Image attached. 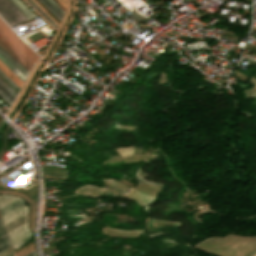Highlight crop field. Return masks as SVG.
I'll use <instances>...</instances> for the list:
<instances>
[{"label": "crop field", "mask_w": 256, "mask_h": 256, "mask_svg": "<svg viewBox=\"0 0 256 256\" xmlns=\"http://www.w3.org/2000/svg\"><path fill=\"white\" fill-rule=\"evenodd\" d=\"M104 230H107V231H115V232H123V233H127L128 236H137L138 234H140V231H141V230H135V231H121V230L107 229V228H104ZM107 231H104V233L127 236L126 234L115 233V232H107Z\"/></svg>", "instance_id": "28ad6ade"}, {"label": "crop field", "mask_w": 256, "mask_h": 256, "mask_svg": "<svg viewBox=\"0 0 256 256\" xmlns=\"http://www.w3.org/2000/svg\"><path fill=\"white\" fill-rule=\"evenodd\" d=\"M105 190H109V189H105ZM116 192V191H115ZM115 192H113V191H106V193H108V194H111V195H116V193ZM121 194H123V193H121Z\"/></svg>", "instance_id": "dafd665d"}, {"label": "crop field", "mask_w": 256, "mask_h": 256, "mask_svg": "<svg viewBox=\"0 0 256 256\" xmlns=\"http://www.w3.org/2000/svg\"><path fill=\"white\" fill-rule=\"evenodd\" d=\"M252 81V80H251ZM254 83V81H252ZM255 84V83H254ZM256 85V84H255Z\"/></svg>", "instance_id": "4177f3b9"}, {"label": "crop field", "mask_w": 256, "mask_h": 256, "mask_svg": "<svg viewBox=\"0 0 256 256\" xmlns=\"http://www.w3.org/2000/svg\"><path fill=\"white\" fill-rule=\"evenodd\" d=\"M66 6V0H60Z\"/></svg>", "instance_id": "00972430"}, {"label": "crop field", "mask_w": 256, "mask_h": 256, "mask_svg": "<svg viewBox=\"0 0 256 256\" xmlns=\"http://www.w3.org/2000/svg\"><path fill=\"white\" fill-rule=\"evenodd\" d=\"M38 7H40L41 8V6L35 1V0H32ZM42 9V8H41ZM43 10V9H42ZM44 11V10H43ZM45 12V11H44ZM46 13V12H45ZM47 14V13H46ZM48 15V14H47ZM49 16V15H48ZM50 17V16H49ZM51 18V17H50ZM52 19V18H51ZM53 20V19H52ZM54 21V20H53ZM55 22V21H54ZM56 23V22H55ZM56 25H58L57 23H56Z\"/></svg>", "instance_id": "92a150f3"}, {"label": "crop field", "mask_w": 256, "mask_h": 256, "mask_svg": "<svg viewBox=\"0 0 256 256\" xmlns=\"http://www.w3.org/2000/svg\"><path fill=\"white\" fill-rule=\"evenodd\" d=\"M41 168H42V170H45V171H51V172H57V173H63L64 174V170H61V169L56 168V167L41 166ZM48 174H50V173H48ZM42 175H47V172L42 171ZM50 175H56V174H50ZM56 176H62V175H56ZM62 177H65V176H62Z\"/></svg>", "instance_id": "22f410ed"}, {"label": "crop field", "mask_w": 256, "mask_h": 256, "mask_svg": "<svg viewBox=\"0 0 256 256\" xmlns=\"http://www.w3.org/2000/svg\"><path fill=\"white\" fill-rule=\"evenodd\" d=\"M26 1L56 29L57 26L54 24V22L40 8H38L31 0Z\"/></svg>", "instance_id": "d1516ede"}, {"label": "crop field", "mask_w": 256, "mask_h": 256, "mask_svg": "<svg viewBox=\"0 0 256 256\" xmlns=\"http://www.w3.org/2000/svg\"><path fill=\"white\" fill-rule=\"evenodd\" d=\"M59 20L63 15V11L52 0H40Z\"/></svg>", "instance_id": "412701ff"}, {"label": "crop field", "mask_w": 256, "mask_h": 256, "mask_svg": "<svg viewBox=\"0 0 256 256\" xmlns=\"http://www.w3.org/2000/svg\"><path fill=\"white\" fill-rule=\"evenodd\" d=\"M28 19L34 17V15L23 5L20 0H10Z\"/></svg>", "instance_id": "e52e79f7"}, {"label": "crop field", "mask_w": 256, "mask_h": 256, "mask_svg": "<svg viewBox=\"0 0 256 256\" xmlns=\"http://www.w3.org/2000/svg\"><path fill=\"white\" fill-rule=\"evenodd\" d=\"M0 61L8 68L10 69L18 78H20L22 81L25 79V75H23L20 71H18L16 68H14L11 64H9L1 55H0ZM17 71V73H15Z\"/></svg>", "instance_id": "3316defc"}, {"label": "crop field", "mask_w": 256, "mask_h": 256, "mask_svg": "<svg viewBox=\"0 0 256 256\" xmlns=\"http://www.w3.org/2000/svg\"><path fill=\"white\" fill-rule=\"evenodd\" d=\"M131 191H132V190H131ZM133 192L135 193V195L137 196V198L141 201V203H142L143 205H145V204L143 203V201L141 200V198L138 196V194L135 192V190H133ZM133 192H132V193H133ZM130 193H131V192H130ZM130 193L126 194V196H127V197H130V198H133L132 196L134 195V193H133V195H132V193H131L132 196L130 195ZM135 195H134V197L136 198ZM135 198H134V199H135ZM137 198H136V199H137ZM136 199H135V200H136ZM138 199H137V200H138ZM137 200H136V201H137ZM139 200H138V202L140 203ZM139 203H138V204H139ZM141 203H140V204H141ZM142 204H141V205H142Z\"/></svg>", "instance_id": "733c2abd"}, {"label": "crop field", "mask_w": 256, "mask_h": 256, "mask_svg": "<svg viewBox=\"0 0 256 256\" xmlns=\"http://www.w3.org/2000/svg\"><path fill=\"white\" fill-rule=\"evenodd\" d=\"M150 186H152V187H154L156 189H159V187H160L159 185H150ZM135 188H137V189H139V190H141V191H143V192H145V193H147L149 195H152L153 197H156L157 192H158L157 190H155V189H153V188H151V187H149L147 185L141 184V183L136 185Z\"/></svg>", "instance_id": "dd49c442"}, {"label": "crop field", "mask_w": 256, "mask_h": 256, "mask_svg": "<svg viewBox=\"0 0 256 256\" xmlns=\"http://www.w3.org/2000/svg\"><path fill=\"white\" fill-rule=\"evenodd\" d=\"M246 95H247V97L255 96V95H256V92H255L253 89L247 90V91H246Z\"/></svg>", "instance_id": "bc2a9ffb"}, {"label": "crop field", "mask_w": 256, "mask_h": 256, "mask_svg": "<svg viewBox=\"0 0 256 256\" xmlns=\"http://www.w3.org/2000/svg\"><path fill=\"white\" fill-rule=\"evenodd\" d=\"M0 83L2 84V85H4L10 92H12L14 95H16L17 93L13 90V89H11L1 78H0Z\"/></svg>", "instance_id": "4a817a6b"}, {"label": "crop field", "mask_w": 256, "mask_h": 256, "mask_svg": "<svg viewBox=\"0 0 256 256\" xmlns=\"http://www.w3.org/2000/svg\"><path fill=\"white\" fill-rule=\"evenodd\" d=\"M254 254H256V251H254L253 253H251L249 256H253Z\"/></svg>", "instance_id": "a9b5d70f"}, {"label": "crop field", "mask_w": 256, "mask_h": 256, "mask_svg": "<svg viewBox=\"0 0 256 256\" xmlns=\"http://www.w3.org/2000/svg\"><path fill=\"white\" fill-rule=\"evenodd\" d=\"M159 82H160V83H168L165 73L162 74V78L159 80Z\"/></svg>", "instance_id": "214f88e0"}, {"label": "crop field", "mask_w": 256, "mask_h": 256, "mask_svg": "<svg viewBox=\"0 0 256 256\" xmlns=\"http://www.w3.org/2000/svg\"><path fill=\"white\" fill-rule=\"evenodd\" d=\"M0 46L29 72L33 65L27 59H25L12 45H10L1 35Z\"/></svg>", "instance_id": "34b2d1b8"}, {"label": "crop field", "mask_w": 256, "mask_h": 256, "mask_svg": "<svg viewBox=\"0 0 256 256\" xmlns=\"http://www.w3.org/2000/svg\"><path fill=\"white\" fill-rule=\"evenodd\" d=\"M0 33L12 43L32 64L35 63L38 56L24 43L22 42L0 19Z\"/></svg>", "instance_id": "8a807250"}, {"label": "crop field", "mask_w": 256, "mask_h": 256, "mask_svg": "<svg viewBox=\"0 0 256 256\" xmlns=\"http://www.w3.org/2000/svg\"><path fill=\"white\" fill-rule=\"evenodd\" d=\"M117 150H118V152H119V154H120L121 156H127V155L133 153L131 147H130V148H126V149L120 148V149H117Z\"/></svg>", "instance_id": "cbeb9de0"}, {"label": "crop field", "mask_w": 256, "mask_h": 256, "mask_svg": "<svg viewBox=\"0 0 256 256\" xmlns=\"http://www.w3.org/2000/svg\"><path fill=\"white\" fill-rule=\"evenodd\" d=\"M138 158H150V157H156L155 155H147V154H139L137 155ZM136 155H132V156H127L125 158H121V159H111V160H107L106 162H113V161H120V160H126V159H131V158H135L137 157ZM135 160H141V159H135ZM130 161H134V160H130ZM130 161H126V163L130 162ZM120 163H124V161L121 162H114V163H107V164H120ZM125 164V163H124ZM121 165V164H120ZM103 166H111V165H103Z\"/></svg>", "instance_id": "f4fd0767"}, {"label": "crop field", "mask_w": 256, "mask_h": 256, "mask_svg": "<svg viewBox=\"0 0 256 256\" xmlns=\"http://www.w3.org/2000/svg\"><path fill=\"white\" fill-rule=\"evenodd\" d=\"M0 15L10 26L28 20L9 0H0Z\"/></svg>", "instance_id": "ac0d7876"}, {"label": "crop field", "mask_w": 256, "mask_h": 256, "mask_svg": "<svg viewBox=\"0 0 256 256\" xmlns=\"http://www.w3.org/2000/svg\"><path fill=\"white\" fill-rule=\"evenodd\" d=\"M88 188H93V186H85V187H81V188H79L78 190H76V192H75V193H78V192H80V191L86 190V189H88ZM90 190H100V189L93 188V189H88V190L83 191V192H87V191H90ZM83 192H81V193H83ZM90 193H99V192H97V191H90Z\"/></svg>", "instance_id": "5142ce71"}, {"label": "crop field", "mask_w": 256, "mask_h": 256, "mask_svg": "<svg viewBox=\"0 0 256 256\" xmlns=\"http://www.w3.org/2000/svg\"><path fill=\"white\" fill-rule=\"evenodd\" d=\"M105 181H106V180H105ZM105 181H104V182H105ZM109 182L116 183V184H119V185L124 186L122 183L117 182V181L109 180ZM109 182H107V183H109ZM107 183H106V184H107ZM112 183H110V184H112ZM110 184H107V185H108V186H111V187H115V188L121 189V190H124V191H126V192L129 190V188H126V187H122V186L113 184V185H116V186H119V187H122V188H125V189H128V190H125V189H122V188H119V187H116V186H113V185H110Z\"/></svg>", "instance_id": "d9b57169"}, {"label": "crop field", "mask_w": 256, "mask_h": 256, "mask_svg": "<svg viewBox=\"0 0 256 256\" xmlns=\"http://www.w3.org/2000/svg\"><path fill=\"white\" fill-rule=\"evenodd\" d=\"M0 70L3 71L12 81H14L19 87L22 85V81L18 79L12 72H10L1 62H0Z\"/></svg>", "instance_id": "d8731c3e"}, {"label": "crop field", "mask_w": 256, "mask_h": 256, "mask_svg": "<svg viewBox=\"0 0 256 256\" xmlns=\"http://www.w3.org/2000/svg\"><path fill=\"white\" fill-rule=\"evenodd\" d=\"M254 81L256 82V80L254 79Z\"/></svg>", "instance_id": "730fd06b"}, {"label": "crop field", "mask_w": 256, "mask_h": 256, "mask_svg": "<svg viewBox=\"0 0 256 256\" xmlns=\"http://www.w3.org/2000/svg\"><path fill=\"white\" fill-rule=\"evenodd\" d=\"M0 96L10 105L14 99V95L10 93L4 86L0 84Z\"/></svg>", "instance_id": "5a996713"}]
</instances>
